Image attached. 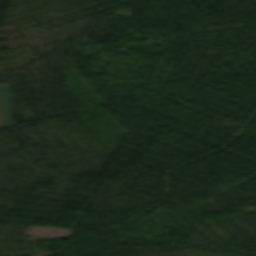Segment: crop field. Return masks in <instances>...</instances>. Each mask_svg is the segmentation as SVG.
Wrapping results in <instances>:
<instances>
[{
    "label": "crop field",
    "instance_id": "crop-field-1",
    "mask_svg": "<svg viewBox=\"0 0 256 256\" xmlns=\"http://www.w3.org/2000/svg\"><path fill=\"white\" fill-rule=\"evenodd\" d=\"M11 123L8 84H0V125Z\"/></svg>",
    "mask_w": 256,
    "mask_h": 256
}]
</instances>
